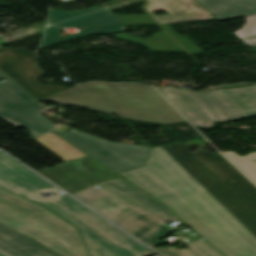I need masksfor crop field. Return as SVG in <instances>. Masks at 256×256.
<instances>
[{"label": "crop field", "mask_w": 256, "mask_h": 256, "mask_svg": "<svg viewBox=\"0 0 256 256\" xmlns=\"http://www.w3.org/2000/svg\"><path fill=\"white\" fill-rule=\"evenodd\" d=\"M217 20L256 14L254 0H197Z\"/></svg>", "instance_id": "13"}, {"label": "crop field", "mask_w": 256, "mask_h": 256, "mask_svg": "<svg viewBox=\"0 0 256 256\" xmlns=\"http://www.w3.org/2000/svg\"><path fill=\"white\" fill-rule=\"evenodd\" d=\"M148 5L144 9L159 23L170 24L185 20L213 19L195 0H146ZM164 10L169 15L155 16L152 12Z\"/></svg>", "instance_id": "11"}, {"label": "crop field", "mask_w": 256, "mask_h": 256, "mask_svg": "<svg viewBox=\"0 0 256 256\" xmlns=\"http://www.w3.org/2000/svg\"><path fill=\"white\" fill-rule=\"evenodd\" d=\"M0 222L64 256H88L76 228L45 208L2 190Z\"/></svg>", "instance_id": "5"}, {"label": "crop field", "mask_w": 256, "mask_h": 256, "mask_svg": "<svg viewBox=\"0 0 256 256\" xmlns=\"http://www.w3.org/2000/svg\"><path fill=\"white\" fill-rule=\"evenodd\" d=\"M235 34L247 46L256 47V15L247 16L245 25Z\"/></svg>", "instance_id": "18"}, {"label": "crop field", "mask_w": 256, "mask_h": 256, "mask_svg": "<svg viewBox=\"0 0 256 256\" xmlns=\"http://www.w3.org/2000/svg\"><path fill=\"white\" fill-rule=\"evenodd\" d=\"M190 147L152 148L145 167L122 175L226 256H256V187L221 154Z\"/></svg>", "instance_id": "1"}, {"label": "crop field", "mask_w": 256, "mask_h": 256, "mask_svg": "<svg viewBox=\"0 0 256 256\" xmlns=\"http://www.w3.org/2000/svg\"><path fill=\"white\" fill-rule=\"evenodd\" d=\"M0 256H5L4 254L0 253Z\"/></svg>", "instance_id": "21"}, {"label": "crop field", "mask_w": 256, "mask_h": 256, "mask_svg": "<svg viewBox=\"0 0 256 256\" xmlns=\"http://www.w3.org/2000/svg\"><path fill=\"white\" fill-rule=\"evenodd\" d=\"M0 72V79H5ZM12 81L0 83V118L14 127H23L37 136L56 125L41 115L43 108ZM40 125L38 129L35 126Z\"/></svg>", "instance_id": "9"}, {"label": "crop field", "mask_w": 256, "mask_h": 256, "mask_svg": "<svg viewBox=\"0 0 256 256\" xmlns=\"http://www.w3.org/2000/svg\"><path fill=\"white\" fill-rule=\"evenodd\" d=\"M0 189L42 205L79 229L90 256H149L153 252L67 195L40 196L59 189L0 152Z\"/></svg>", "instance_id": "3"}, {"label": "crop field", "mask_w": 256, "mask_h": 256, "mask_svg": "<svg viewBox=\"0 0 256 256\" xmlns=\"http://www.w3.org/2000/svg\"><path fill=\"white\" fill-rule=\"evenodd\" d=\"M49 25L59 27L81 26L83 29L77 34L62 37L59 35L62 31L61 28L49 27L41 48L80 38L90 33L107 34L128 29L127 26H125L107 7L86 9L76 12H63L52 9Z\"/></svg>", "instance_id": "8"}, {"label": "crop field", "mask_w": 256, "mask_h": 256, "mask_svg": "<svg viewBox=\"0 0 256 256\" xmlns=\"http://www.w3.org/2000/svg\"><path fill=\"white\" fill-rule=\"evenodd\" d=\"M0 250L11 256H59L0 223Z\"/></svg>", "instance_id": "12"}, {"label": "crop field", "mask_w": 256, "mask_h": 256, "mask_svg": "<svg viewBox=\"0 0 256 256\" xmlns=\"http://www.w3.org/2000/svg\"><path fill=\"white\" fill-rule=\"evenodd\" d=\"M194 126L212 128L215 121H227L256 114V85H233L205 94L174 86L158 90Z\"/></svg>", "instance_id": "6"}, {"label": "crop field", "mask_w": 256, "mask_h": 256, "mask_svg": "<svg viewBox=\"0 0 256 256\" xmlns=\"http://www.w3.org/2000/svg\"><path fill=\"white\" fill-rule=\"evenodd\" d=\"M125 25L134 26V25H145L155 23L147 15L144 16H134V15H121L118 16Z\"/></svg>", "instance_id": "20"}, {"label": "crop field", "mask_w": 256, "mask_h": 256, "mask_svg": "<svg viewBox=\"0 0 256 256\" xmlns=\"http://www.w3.org/2000/svg\"><path fill=\"white\" fill-rule=\"evenodd\" d=\"M37 65L31 51L0 49V71L36 100L66 89L63 86H42L38 83L35 78L43 72L38 69Z\"/></svg>", "instance_id": "10"}, {"label": "crop field", "mask_w": 256, "mask_h": 256, "mask_svg": "<svg viewBox=\"0 0 256 256\" xmlns=\"http://www.w3.org/2000/svg\"><path fill=\"white\" fill-rule=\"evenodd\" d=\"M44 101L164 124L185 121L151 86L139 84L89 83Z\"/></svg>", "instance_id": "4"}, {"label": "crop field", "mask_w": 256, "mask_h": 256, "mask_svg": "<svg viewBox=\"0 0 256 256\" xmlns=\"http://www.w3.org/2000/svg\"><path fill=\"white\" fill-rule=\"evenodd\" d=\"M225 155L237 165L254 183H256V152L241 157L234 152H224Z\"/></svg>", "instance_id": "17"}, {"label": "crop field", "mask_w": 256, "mask_h": 256, "mask_svg": "<svg viewBox=\"0 0 256 256\" xmlns=\"http://www.w3.org/2000/svg\"><path fill=\"white\" fill-rule=\"evenodd\" d=\"M39 143L40 145L46 147L55 155L60 157L64 161H70L75 158L87 156L83 152L74 148L69 143L63 141L61 138L53 133H48L39 137L32 139Z\"/></svg>", "instance_id": "14"}, {"label": "crop field", "mask_w": 256, "mask_h": 256, "mask_svg": "<svg viewBox=\"0 0 256 256\" xmlns=\"http://www.w3.org/2000/svg\"><path fill=\"white\" fill-rule=\"evenodd\" d=\"M113 36L144 44L152 51L184 52L165 32L159 33L147 39L138 38L124 33Z\"/></svg>", "instance_id": "16"}, {"label": "crop field", "mask_w": 256, "mask_h": 256, "mask_svg": "<svg viewBox=\"0 0 256 256\" xmlns=\"http://www.w3.org/2000/svg\"><path fill=\"white\" fill-rule=\"evenodd\" d=\"M1 47V46H0Z\"/></svg>", "instance_id": "22"}, {"label": "crop field", "mask_w": 256, "mask_h": 256, "mask_svg": "<svg viewBox=\"0 0 256 256\" xmlns=\"http://www.w3.org/2000/svg\"><path fill=\"white\" fill-rule=\"evenodd\" d=\"M53 132L119 173L145 166L151 151L150 147L111 143L73 128L64 133L57 129Z\"/></svg>", "instance_id": "7"}, {"label": "crop field", "mask_w": 256, "mask_h": 256, "mask_svg": "<svg viewBox=\"0 0 256 256\" xmlns=\"http://www.w3.org/2000/svg\"><path fill=\"white\" fill-rule=\"evenodd\" d=\"M185 244L193 249L185 248L178 250L174 245L155 247L153 249L164 256H223L205 240L187 242Z\"/></svg>", "instance_id": "15"}, {"label": "crop field", "mask_w": 256, "mask_h": 256, "mask_svg": "<svg viewBox=\"0 0 256 256\" xmlns=\"http://www.w3.org/2000/svg\"><path fill=\"white\" fill-rule=\"evenodd\" d=\"M170 33L190 54L202 52L187 36L180 37L168 25H161Z\"/></svg>", "instance_id": "19"}, {"label": "crop field", "mask_w": 256, "mask_h": 256, "mask_svg": "<svg viewBox=\"0 0 256 256\" xmlns=\"http://www.w3.org/2000/svg\"><path fill=\"white\" fill-rule=\"evenodd\" d=\"M37 172L148 246L176 230L164 224L176 218L167 206L89 157Z\"/></svg>", "instance_id": "2"}]
</instances>
